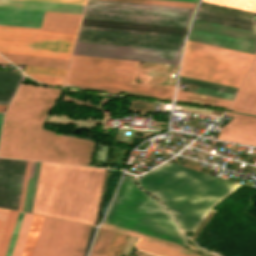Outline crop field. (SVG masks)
Wrapping results in <instances>:
<instances>
[{
  "instance_id": "obj_23",
  "label": "crop field",
  "mask_w": 256,
  "mask_h": 256,
  "mask_svg": "<svg viewBox=\"0 0 256 256\" xmlns=\"http://www.w3.org/2000/svg\"><path fill=\"white\" fill-rule=\"evenodd\" d=\"M40 163L32 162L23 211L31 213Z\"/></svg>"
},
{
  "instance_id": "obj_33",
  "label": "crop field",
  "mask_w": 256,
  "mask_h": 256,
  "mask_svg": "<svg viewBox=\"0 0 256 256\" xmlns=\"http://www.w3.org/2000/svg\"><path fill=\"white\" fill-rule=\"evenodd\" d=\"M80 28L95 29V30H106V31H116V32H126V33H137V34H147V35L168 36V37H178V38H183V36H184V35H179V34H167V33H156V32L132 31V30L109 29V28L86 27V26H81Z\"/></svg>"
},
{
  "instance_id": "obj_13",
  "label": "crop field",
  "mask_w": 256,
  "mask_h": 256,
  "mask_svg": "<svg viewBox=\"0 0 256 256\" xmlns=\"http://www.w3.org/2000/svg\"><path fill=\"white\" fill-rule=\"evenodd\" d=\"M183 39L80 29L77 41L180 51Z\"/></svg>"
},
{
  "instance_id": "obj_31",
  "label": "crop field",
  "mask_w": 256,
  "mask_h": 256,
  "mask_svg": "<svg viewBox=\"0 0 256 256\" xmlns=\"http://www.w3.org/2000/svg\"><path fill=\"white\" fill-rule=\"evenodd\" d=\"M199 7L210 9V10H215V11H220V12H225V13H229V14L244 16V17L253 18V19H255V15H256L255 12H250V11H245V10H240V9H235V8H229V7H224V6H219V5H214V4L204 3V2H201Z\"/></svg>"
},
{
  "instance_id": "obj_36",
  "label": "crop field",
  "mask_w": 256,
  "mask_h": 256,
  "mask_svg": "<svg viewBox=\"0 0 256 256\" xmlns=\"http://www.w3.org/2000/svg\"><path fill=\"white\" fill-rule=\"evenodd\" d=\"M23 214L24 213H21V212L18 213V217H17L16 223H15V227H14V230H13V233H12V237H11V240H10V243H9V247H8L6 256L11 255V252H12V249H13V246H14V243H15V239H16V236H17L20 224H21Z\"/></svg>"
},
{
  "instance_id": "obj_32",
  "label": "crop field",
  "mask_w": 256,
  "mask_h": 256,
  "mask_svg": "<svg viewBox=\"0 0 256 256\" xmlns=\"http://www.w3.org/2000/svg\"><path fill=\"white\" fill-rule=\"evenodd\" d=\"M115 1L178 6V7H188V8H193L195 5V3H191V2H180V1H170V0H115Z\"/></svg>"
},
{
  "instance_id": "obj_15",
  "label": "crop field",
  "mask_w": 256,
  "mask_h": 256,
  "mask_svg": "<svg viewBox=\"0 0 256 256\" xmlns=\"http://www.w3.org/2000/svg\"><path fill=\"white\" fill-rule=\"evenodd\" d=\"M235 116L221 130L219 140L256 146V117L234 113H225Z\"/></svg>"
},
{
  "instance_id": "obj_17",
  "label": "crop field",
  "mask_w": 256,
  "mask_h": 256,
  "mask_svg": "<svg viewBox=\"0 0 256 256\" xmlns=\"http://www.w3.org/2000/svg\"><path fill=\"white\" fill-rule=\"evenodd\" d=\"M194 19L256 32V22L253 19L206 9L199 8Z\"/></svg>"
},
{
  "instance_id": "obj_39",
  "label": "crop field",
  "mask_w": 256,
  "mask_h": 256,
  "mask_svg": "<svg viewBox=\"0 0 256 256\" xmlns=\"http://www.w3.org/2000/svg\"><path fill=\"white\" fill-rule=\"evenodd\" d=\"M179 79L196 82V83H201V84H206V85L215 86V87H220V88H225V89H230V90H235V91L238 90L237 87H232V86H227V85H222V84H217V83H212V82H207V81H202V80H197V79H192V78H187V77H182V76H180Z\"/></svg>"
},
{
  "instance_id": "obj_37",
  "label": "crop field",
  "mask_w": 256,
  "mask_h": 256,
  "mask_svg": "<svg viewBox=\"0 0 256 256\" xmlns=\"http://www.w3.org/2000/svg\"><path fill=\"white\" fill-rule=\"evenodd\" d=\"M194 93H200V94H205V95H210V96H216V97L226 98V99H230V100H232L233 97H234L233 94H228V93H224V92L204 89V88H200V87H198L197 91L194 92Z\"/></svg>"
},
{
  "instance_id": "obj_43",
  "label": "crop field",
  "mask_w": 256,
  "mask_h": 256,
  "mask_svg": "<svg viewBox=\"0 0 256 256\" xmlns=\"http://www.w3.org/2000/svg\"><path fill=\"white\" fill-rule=\"evenodd\" d=\"M178 82L236 94L235 91H230V90H225V89L210 87V86H206V85H201V84H196V83H191V82H186V81H181V80H179Z\"/></svg>"
},
{
  "instance_id": "obj_25",
  "label": "crop field",
  "mask_w": 256,
  "mask_h": 256,
  "mask_svg": "<svg viewBox=\"0 0 256 256\" xmlns=\"http://www.w3.org/2000/svg\"><path fill=\"white\" fill-rule=\"evenodd\" d=\"M41 216H33L32 223L29 229V233L26 239V243L22 252V256H32L33 249L35 246V242L37 239V235L40 229V225L42 222Z\"/></svg>"
},
{
  "instance_id": "obj_44",
  "label": "crop field",
  "mask_w": 256,
  "mask_h": 256,
  "mask_svg": "<svg viewBox=\"0 0 256 256\" xmlns=\"http://www.w3.org/2000/svg\"><path fill=\"white\" fill-rule=\"evenodd\" d=\"M95 229H96V227H94V226L91 227V231H90V234H89V237H88V241H87L83 256H86V254H87V251H88V248H89L90 242L92 240Z\"/></svg>"
},
{
  "instance_id": "obj_40",
  "label": "crop field",
  "mask_w": 256,
  "mask_h": 256,
  "mask_svg": "<svg viewBox=\"0 0 256 256\" xmlns=\"http://www.w3.org/2000/svg\"><path fill=\"white\" fill-rule=\"evenodd\" d=\"M8 211L9 210H7V209L0 208V237H1V234H2V231L4 228V224H5V221L7 218Z\"/></svg>"
},
{
  "instance_id": "obj_7",
  "label": "crop field",
  "mask_w": 256,
  "mask_h": 256,
  "mask_svg": "<svg viewBox=\"0 0 256 256\" xmlns=\"http://www.w3.org/2000/svg\"><path fill=\"white\" fill-rule=\"evenodd\" d=\"M75 35L0 27V53L69 59Z\"/></svg>"
},
{
  "instance_id": "obj_1",
  "label": "crop field",
  "mask_w": 256,
  "mask_h": 256,
  "mask_svg": "<svg viewBox=\"0 0 256 256\" xmlns=\"http://www.w3.org/2000/svg\"><path fill=\"white\" fill-rule=\"evenodd\" d=\"M59 93L21 85L5 115L0 156L90 166L95 142L41 129Z\"/></svg>"
},
{
  "instance_id": "obj_30",
  "label": "crop field",
  "mask_w": 256,
  "mask_h": 256,
  "mask_svg": "<svg viewBox=\"0 0 256 256\" xmlns=\"http://www.w3.org/2000/svg\"><path fill=\"white\" fill-rule=\"evenodd\" d=\"M23 77L21 73L0 71V89H17Z\"/></svg>"
},
{
  "instance_id": "obj_42",
  "label": "crop field",
  "mask_w": 256,
  "mask_h": 256,
  "mask_svg": "<svg viewBox=\"0 0 256 256\" xmlns=\"http://www.w3.org/2000/svg\"><path fill=\"white\" fill-rule=\"evenodd\" d=\"M15 90H0V100H11Z\"/></svg>"
},
{
  "instance_id": "obj_14",
  "label": "crop field",
  "mask_w": 256,
  "mask_h": 256,
  "mask_svg": "<svg viewBox=\"0 0 256 256\" xmlns=\"http://www.w3.org/2000/svg\"><path fill=\"white\" fill-rule=\"evenodd\" d=\"M25 163L0 158V207L17 210Z\"/></svg>"
},
{
  "instance_id": "obj_11",
  "label": "crop field",
  "mask_w": 256,
  "mask_h": 256,
  "mask_svg": "<svg viewBox=\"0 0 256 256\" xmlns=\"http://www.w3.org/2000/svg\"><path fill=\"white\" fill-rule=\"evenodd\" d=\"M45 12L1 8L0 24L40 28ZM82 15L46 12L40 30L76 33ZM1 26V25H0ZM9 26V27H13ZM19 27V28H24ZM29 28V29H35Z\"/></svg>"
},
{
  "instance_id": "obj_4",
  "label": "crop field",
  "mask_w": 256,
  "mask_h": 256,
  "mask_svg": "<svg viewBox=\"0 0 256 256\" xmlns=\"http://www.w3.org/2000/svg\"><path fill=\"white\" fill-rule=\"evenodd\" d=\"M137 64L72 55L64 87L172 101L174 87L134 83Z\"/></svg>"
},
{
  "instance_id": "obj_20",
  "label": "crop field",
  "mask_w": 256,
  "mask_h": 256,
  "mask_svg": "<svg viewBox=\"0 0 256 256\" xmlns=\"http://www.w3.org/2000/svg\"><path fill=\"white\" fill-rule=\"evenodd\" d=\"M175 102L227 109L230 100L177 90Z\"/></svg>"
},
{
  "instance_id": "obj_6",
  "label": "crop field",
  "mask_w": 256,
  "mask_h": 256,
  "mask_svg": "<svg viewBox=\"0 0 256 256\" xmlns=\"http://www.w3.org/2000/svg\"><path fill=\"white\" fill-rule=\"evenodd\" d=\"M253 57L187 41L180 75L239 87Z\"/></svg>"
},
{
  "instance_id": "obj_28",
  "label": "crop field",
  "mask_w": 256,
  "mask_h": 256,
  "mask_svg": "<svg viewBox=\"0 0 256 256\" xmlns=\"http://www.w3.org/2000/svg\"><path fill=\"white\" fill-rule=\"evenodd\" d=\"M135 247L139 250H142L157 256H188V255L174 252L172 250H169L160 246H156L141 240H139L136 243Z\"/></svg>"
},
{
  "instance_id": "obj_47",
  "label": "crop field",
  "mask_w": 256,
  "mask_h": 256,
  "mask_svg": "<svg viewBox=\"0 0 256 256\" xmlns=\"http://www.w3.org/2000/svg\"><path fill=\"white\" fill-rule=\"evenodd\" d=\"M2 116H3V113H0V127H1V122H2Z\"/></svg>"
},
{
  "instance_id": "obj_12",
  "label": "crop field",
  "mask_w": 256,
  "mask_h": 256,
  "mask_svg": "<svg viewBox=\"0 0 256 256\" xmlns=\"http://www.w3.org/2000/svg\"><path fill=\"white\" fill-rule=\"evenodd\" d=\"M180 52L77 42L74 54L177 64Z\"/></svg>"
},
{
  "instance_id": "obj_46",
  "label": "crop field",
  "mask_w": 256,
  "mask_h": 256,
  "mask_svg": "<svg viewBox=\"0 0 256 256\" xmlns=\"http://www.w3.org/2000/svg\"><path fill=\"white\" fill-rule=\"evenodd\" d=\"M9 101H0V104H8Z\"/></svg>"
},
{
  "instance_id": "obj_34",
  "label": "crop field",
  "mask_w": 256,
  "mask_h": 256,
  "mask_svg": "<svg viewBox=\"0 0 256 256\" xmlns=\"http://www.w3.org/2000/svg\"><path fill=\"white\" fill-rule=\"evenodd\" d=\"M27 75L33 77L34 79L46 83V84H52V85H62V81L64 77H59V76H49V75H39V74H29L26 73Z\"/></svg>"
},
{
  "instance_id": "obj_8",
  "label": "crop field",
  "mask_w": 256,
  "mask_h": 256,
  "mask_svg": "<svg viewBox=\"0 0 256 256\" xmlns=\"http://www.w3.org/2000/svg\"><path fill=\"white\" fill-rule=\"evenodd\" d=\"M90 227L44 217L33 256H82Z\"/></svg>"
},
{
  "instance_id": "obj_10",
  "label": "crop field",
  "mask_w": 256,
  "mask_h": 256,
  "mask_svg": "<svg viewBox=\"0 0 256 256\" xmlns=\"http://www.w3.org/2000/svg\"><path fill=\"white\" fill-rule=\"evenodd\" d=\"M190 15L87 4L83 17L187 27Z\"/></svg>"
},
{
  "instance_id": "obj_19",
  "label": "crop field",
  "mask_w": 256,
  "mask_h": 256,
  "mask_svg": "<svg viewBox=\"0 0 256 256\" xmlns=\"http://www.w3.org/2000/svg\"><path fill=\"white\" fill-rule=\"evenodd\" d=\"M81 25L185 34L186 29L83 19Z\"/></svg>"
},
{
  "instance_id": "obj_21",
  "label": "crop field",
  "mask_w": 256,
  "mask_h": 256,
  "mask_svg": "<svg viewBox=\"0 0 256 256\" xmlns=\"http://www.w3.org/2000/svg\"><path fill=\"white\" fill-rule=\"evenodd\" d=\"M14 64L66 69L69 60L29 56L5 55Z\"/></svg>"
},
{
  "instance_id": "obj_9",
  "label": "crop field",
  "mask_w": 256,
  "mask_h": 256,
  "mask_svg": "<svg viewBox=\"0 0 256 256\" xmlns=\"http://www.w3.org/2000/svg\"><path fill=\"white\" fill-rule=\"evenodd\" d=\"M189 41L256 53V33L221 25L193 21Z\"/></svg>"
},
{
  "instance_id": "obj_27",
  "label": "crop field",
  "mask_w": 256,
  "mask_h": 256,
  "mask_svg": "<svg viewBox=\"0 0 256 256\" xmlns=\"http://www.w3.org/2000/svg\"><path fill=\"white\" fill-rule=\"evenodd\" d=\"M17 213L18 212L16 211H9L8 218L0 241V256H5L8 243L11 237V233L14 227V223L17 217Z\"/></svg>"
},
{
  "instance_id": "obj_18",
  "label": "crop field",
  "mask_w": 256,
  "mask_h": 256,
  "mask_svg": "<svg viewBox=\"0 0 256 256\" xmlns=\"http://www.w3.org/2000/svg\"><path fill=\"white\" fill-rule=\"evenodd\" d=\"M0 6L82 14L84 6L26 0H0Z\"/></svg>"
},
{
  "instance_id": "obj_45",
  "label": "crop field",
  "mask_w": 256,
  "mask_h": 256,
  "mask_svg": "<svg viewBox=\"0 0 256 256\" xmlns=\"http://www.w3.org/2000/svg\"><path fill=\"white\" fill-rule=\"evenodd\" d=\"M4 59V58H3ZM2 58H0V64H9L8 62H6L5 60H3Z\"/></svg>"
},
{
  "instance_id": "obj_5",
  "label": "crop field",
  "mask_w": 256,
  "mask_h": 256,
  "mask_svg": "<svg viewBox=\"0 0 256 256\" xmlns=\"http://www.w3.org/2000/svg\"><path fill=\"white\" fill-rule=\"evenodd\" d=\"M104 221L183 245L188 241L168 212L139 189L130 175L123 177Z\"/></svg>"
},
{
  "instance_id": "obj_3",
  "label": "crop field",
  "mask_w": 256,
  "mask_h": 256,
  "mask_svg": "<svg viewBox=\"0 0 256 256\" xmlns=\"http://www.w3.org/2000/svg\"><path fill=\"white\" fill-rule=\"evenodd\" d=\"M105 171L41 163L32 213L95 225Z\"/></svg>"
},
{
  "instance_id": "obj_16",
  "label": "crop field",
  "mask_w": 256,
  "mask_h": 256,
  "mask_svg": "<svg viewBox=\"0 0 256 256\" xmlns=\"http://www.w3.org/2000/svg\"><path fill=\"white\" fill-rule=\"evenodd\" d=\"M230 109L256 115V58Z\"/></svg>"
},
{
  "instance_id": "obj_35",
  "label": "crop field",
  "mask_w": 256,
  "mask_h": 256,
  "mask_svg": "<svg viewBox=\"0 0 256 256\" xmlns=\"http://www.w3.org/2000/svg\"><path fill=\"white\" fill-rule=\"evenodd\" d=\"M25 72L64 76L66 70L26 66Z\"/></svg>"
},
{
  "instance_id": "obj_26",
  "label": "crop field",
  "mask_w": 256,
  "mask_h": 256,
  "mask_svg": "<svg viewBox=\"0 0 256 256\" xmlns=\"http://www.w3.org/2000/svg\"><path fill=\"white\" fill-rule=\"evenodd\" d=\"M31 214H24L23 220H22V224L16 239V243L12 252L11 256H21V252L24 246V242L28 233V229L31 223V219H32Z\"/></svg>"
},
{
  "instance_id": "obj_41",
  "label": "crop field",
  "mask_w": 256,
  "mask_h": 256,
  "mask_svg": "<svg viewBox=\"0 0 256 256\" xmlns=\"http://www.w3.org/2000/svg\"><path fill=\"white\" fill-rule=\"evenodd\" d=\"M37 1H47V2H58V3H69V4L84 5L86 0H37Z\"/></svg>"
},
{
  "instance_id": "obj_22",
  "label": "crop field",
  "mask_w": 256,
  "mask_h": 256,
  "mask_svg": "<svg viewBox=\"0 0 256 256\" xmlns=\"http://www.w3.org/2000/svg\"><path fill=\"white\" fill-rule=\"evenodd\" d=\"M87 3L102 4V5H113V6H123V7H134V8H144V9H155V10H165V11H176V12H186V13H191L192 10H193V9H188V8L146 5V4H136V3H125V2H115V1H104V0H88Z\"/></svg>"
},
{
  "instance_id": "obj_24",
  "label": "crop field",
  "mask_w": 256,
  "mask_h": 256,
  "mask_svg": "<svg viewBox=\"0 0 256 256\" xmlns=\"http://www.w3.org/2000/svg\"><path fill=\"white\" fill-rule=\"evenodd\" d=\"M114 233L100 228L90 256H105Z\"/></svg>"
},
{
  "instance_id": "obj_2",
  "label": "crop field",
  "mask_w": 256,
  "mask_h": 256,
  "mask_svg": "<svg viewBox=\"0 0 256 256\" xmlns=\"http://www.w3.org/2000/svg\"><path fill=\"white\" fill-rule=\"evenodd\" d=\"M136 181L170 210L184 232L193 233L213 206L242 185L169 162Z\"/></svg>"
},
{
  "instance_id": "obj_38",
  "label": "crop field",
  "mask_w": 256,
  "mask_h": 256,
  "mask_svg": "<svg viewBox=\"0 0 256 256\" xmlns=\"http://www.w3.org/2000/svg\"><path fill=\"white\" fill-rule=\"evenodd\" d=\"M31 162L27 161L18 210L22 211Z\"/></svg>"
},
{
  "instance_id": "obj_48",
  "label": "crop field",
  "mask_w": 256,
  "mask_h": 256,
  "mask_svg": "<svg viewBox=\"0 0 256 256\" xmlns=\"http://www.w3.org/2000/svg\"><path fill=\"white\" fill-rule=\"evenodd\" d=\"M180 1H191V2H196L197 0H180Z\"/></svg>"
},
{
  "instance_id": "obj_29",
  "label": "crop field",
  "mask_w": 256,
  "mask_h": 256,
  "mask_svg": "<svg viewBox=\"0 0 256 256\" xmlns=\"http://www.w3.org/2000/svg\"><path fill=\"white\" fill-rule=\"evenodd\" d=\"M203 1L256 12V0H203Z\"/></svg>"
},
{
  "instance_id": "obj_49",
  "label": "crop field",
  "mask_w": 256,
  "mask_h": 256,
  "mask_svg": "<svg viewBox=\"0 0 256 256\" xmlns=\"http://www.w3.org/2000/svg\"><path fill=\"white\" fill-rule=\"evenodd\" d=\"M130 23V22H129ZM151 25V24H150ZM172 27V26H171ZM182 28V27H181Z\"/></svg>"
}]
</instances>
